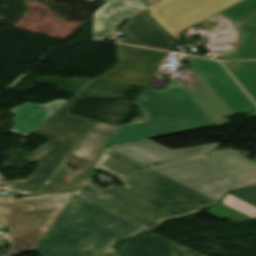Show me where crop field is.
<instances>
[{
  "label": "crop field",
  "mask_w": 256,
  "mask_h": 256,
  "mask_svg": "<svg viewBox=\"0 0 256 256\" xmlns=\"http://www.w3.org/2000/svg\"><path fill=\"white\" fill-rule=\"evenodd\" d=\"M145 11L131 17L122 27L121 30L130 38L122 43L171 51L175 42L145 14Z\"/></svg>",
  "instance_id": "crop-field-11"
},
{
  "label": "crop field",
  "mask_w": 256,
  "mask_h": 256,
  "mask_svg": "<svg viewBox=\"0 0 256 256\" xmlns=\"http://www.w3.org/2000/svg\"><path fill=\"white\" fill-rule=\"evenodd\" d=\"M1 254H2V252H0V256H1ZM4 256H6V255H4Z\"/></svg>",
  "instance_id": "crop-field-25"
},
{
  "label": "crop field",
  "mask_w": 256,
  "mask_h": 256,
  "mask_svg": "<svg viewBox=\"0 0 256 256\" xmlns=\"http://www.w3.org/2000/svg\"><path fill=\"white\" fill-rule=\"evenodd\" d=\"M98 169L94 168L91 170V172L89 173L88 177L90 176H94V174L97 172Z\"/></svg>",
  "instance_id": "crop-field-21"
},
{
  "label": "crop field",
  "mask_w": 256,
  "mask_h": 256,
  "mask_svg": "<svg viewBox=\"0 0 256 256\" xmlns=\"http://www.w3.org/2000/svg\"><path fill=\"white\" fill-rule=\"evenodd\" d=\"M94 167L121 179L144 166L106 148Z\"/></svg>",
  "instance_id": "crop-field-15"
},
{
  "label": "crop field",
  "mask_w": 256,
  "mask_h": 256,
  "mask_svg": "<svg viewBox=\"0 0 256 256\" xmlns=\"http://www.w3.org/2000/svg\"><path fill=\"white\" fill-rule=\"evenodd\" d=\"M208 155L212 166L231 180L235 190L256 184V163L240 153L222 150Z\"/></svg>",
  "instance_id": "crop-field-10"
},
{
  "label": "crop field",
  "mask_w": 256,
  "mask_h": 256,
  "mask_svg": "<svg viewBox=\"0 0 256 256\" xmlns=\"http://www.w3.org/2000/svg\"><path fill=\"white\" fill-rule=\"evenodd\" d=\"M144 7L142 0H108L94 13L93 40L109 37L121 21Z\"/></svg>",
  "instance_id": "crop-field-12"
},
{
  "label": "crop field",
  "mask_w": 256,
  "mask_h": 256,
  "mask_svg": "<svg viewBox=\"0 0 256 256\" xmlns=\"http://www.w3.org/2000/svg\"><path fill=\"white\" fill-rule=\"evenodd\" d=\"M122 256H192L186 248L177 245L153 232L118 245Z\"/></svg>",
  "instance_id": "crop-field-13"
},
{
  "label": "crop field",
  "mask_w": 256,
  "mask_h": 256,
  "mask_svg": "<svg viewBox=\"0 0 256 256\" xmlns=\"http://www.w3.org/2000/svg\"><path fill=\"white\" fill-rule=\"evenodd\" d=\"M186 58L230 111L217 114L183 78L173 79L164 90L143 92L135 106L146 114L145 118L121 126L108 146L220 126L227 123L224 116L256 110L218 62Z\"/></svg>",
  "instance_id": "crop-field-1"
},
{
  "label": "crop field",
  "mask_w": 256,
  "mask_h": 256,
  "mask_svg": "<svg viewBox=\"0 0 256 256\" xmlns=\"http://www.w3.org/2000/svg\"><path fill=\"white\" fill-rule=\"evenodd\" d=\"M146 1L149 3V7H150V6H152V5H154V4L158 3V2H160V1H162V0H146Z\"/></svg>",
  "instance_id": "crop-field-20"
},
{
  "label": "crop field",
  "mask_w": 256,
  "mask_h": 256,
  "mask_svg": "<svg viewBox=\"0 0 256 256\" xmlns=\"http://www.w3.org/2000/svg\"><path fill=\"white\" fill-rule=\"evenodd\" d=\"M86 180L74 195L146 230L164 220L193 215L217 201L146 168L105 189Z\"/></svg>",
  "instance_id": "crop-field-2"
},
{
  "label": "crop field",
  "mask_w": 256,
  "mask_h": 256,
  "mask_svg": "<svg viewBox=\"0 0 256 256\" xmlns=\"http://www.w3.org/2000/svg\"><path fill=\"white\" fill-rule=\"evenodd\" d=\"M223 203L256 218V187L228 194Z\"/></svg>",
  "instance_id": "crop-field-16"
},
{
  "label": "crop field",
  "mask_w": 256,
  "mask_h": 256,
  "mask_svg": "<svg viewBox=\"0 0 256 256\" xmlns=\"http://www.w3.org/2000/svg\"><path fill=\"white\" fill-rule=\"evenodd\" d=\"M201 25L205 31L214 34L213 39H233L231 31L238 28L219 13L201 22Z\"/></svg>",
  "instance_id": "crop-field-17"
},
{
  "label": "crop field",
  "mask_w": 256,
  "mask_h": 256,
  "mask_svg": "<svg viewBox=\"0 0 256 256\" xmlns=\"http://www.w3.org/2000/svg\"><path fill=\"white\" fill-rule=\"evenodd\" d=\"M0 228H2V226L0 225Z\"/></svg>",
  "instance_id": "crop-field-27"
},
{
  "label": "crop field",
  "mask_w": 256,
  "mask_h": 256,
  "mask_svg": "<svg viewBox=\"0 0 256 256\" xmlns=\"http://www.w3.org/2000/svg\"><path fill=\"white\" fill-rule=\"evenodd\" d=\"M146 230L75 196L43 239L42 256H119L122 238Z\"/></svg>",
  "instance_id": "crop-field-3"
},
{
  "label": "crop field",
  "mask_w": 256,
  "mask_h": 256,
  "mask_svg": "<svg viewBox=\"0 0 256 256\" xmlns=\"http://www.w3.org/2000/svg\"><path fill=\"white\" fill-rule=\"evenodd\" d=\"M232 33H233L234 39H239V37H238V31H237V30L233 31Z\"/></svg>",
  "instance_id": "crop-field-23"
},
{
  "label": "crop field",
  "mask_w": 256,
  "mask_h": 256,
  "mask_svg": "<svg viewBox=\"0 0 256 256\" xmlns=\"http://www.w3.org/2000/svg\"><path fill=\"white\" fill-rule=\"evenodd\" d=\"M211 50L218 58L238 57L235 47L211 48Z\"/></svg>",
  "instance_id": "crop-field-19"
},
{
  "label": "crop field",
  "mask_w": 256,
  "mask_h": 256,
  "mask_svg": "<svg viewBox=\"0 0 256 256\" xmlns=\"http://www.w3.org/2000/svg\"><path fill=\"white\" fill-rule=\"evenodd\" d=\"M87 1L91 3V2H93V1H95V0H87ZM105 1H107V0H105Z\"/></svg>",
  "instance_id": "crop-field-24"
},
{
  "label": "crop field",
  "mask_w": 256,
  "mask_h": 256,
  "mask_svg": "<svg viewBox=\"0 0 256 256\" xmlns=\"http://www.w3.org/2000/svg\"><path fill=\"white\" fill-rule=\"evenodd\" d=\"M241 0H166L149 9V15L176 40L182 32Z\"/></svg>",
  "instance_id": "crop-field-6"
},
{
  "label": "crop field",
  "mask_w": 256,
  "mask_h": 256,
  "mask_svg": "<svg viewBox=\"0 0 256 256\" xmlns=\"http://www.w3.org/2000/svg\"><path fill=\"white\" fill-rule=\"evenodd\" d=\"M212 215H215L221 219H227L233 223H239L248 219H251L250 217L224 205L219 204L216 207L206 211Z\"/></svg>",
  "instance_id": "crop-field-18"
},
{
  "label": "crop field",
  "mask_w": 256,
  "mask_h": 256,
  "mask_svg": "<svg viewBox=\"0 0 256 256\" xmlns=\"http://www.w3.org/2000/svg\"><path fill=\"white\" fill-rule=\"evenodd\" d=\"M231 62H232V64L235 66V68L241 67V65L239 64L238 61H231Z\"/></svg>",
  "instance_id": "crop-field-22"
},
{
  "label": "crop field",
  "mask_w": 256,
  "mask_h": 256,
  "mask_svg": "<svg viewBox=\"0 0 256 256\" xmlns=\"http://www.w3.org/2000/svg\"><path fill=\"white\" fill-rule=\"evenodd\" d=\"M0 184H3V183L1 182V180H0Z\"/></svg>",
  "instance_id": "crop-field-26"
},
{
  "label": "crop field",
  "mask_w": 256,
  "mask_h": 256,
  "mask_svg": "<svg viewBox=\"0 0 256 256\" xmlns=\"http://www.w3.org/2000/svg\"><path fill=\"white\" fill-rule=\"evenodd\" d=\"M74 193L22 197L0 196V220L11 234L9 256L35 250Z\"/></svg>",
  "instance_id": "crop-field-5"
},
{
  "label": "crop field",
  "mask_w": 256,
  "mask_h": 256,
  "mask_svg": "<svg viewBox=\"0 0 256 256\" xmlns=\"http://www.w3.org/2000/svg\"><path fill=\"white\" fill-rule=\"evenodd\" d=\"M65 102L67 101L57 100L55 102L45 104L47 107L33 103H26L22 106L13 108L11 112L18 115L14 118L16 126L11 129V132L26 137L47 118L54 114L55 110Z\"/></svg>",
  "instance_id": "crop-field-14"
},
{
  "label": "crop field",
  "mask_w": 256,
  "mask_h": 256,
  "mask_svg": "<svg viewBox=\"0 0 256 256\" xmlns=\"http://www.w3.org/2000/svg\"><path fill=\"white\" fill-rule=\"evenodd\" d=\"M219 147V144L201 145L191 148L170 150L149 139L108 147L147 167L206 153Z\"/></svg>",
  "instance_id": "crop-field-9"
},
{
  "label": "crop field",
  "mask_w": 256,
  "mask_h": 256,
  "mask_svg": "<svg viewBox=\"0 0 256 256\" xmlns=\"http://www.w3.org/2000/svg\"><path fill=\"white\" fill-rule=\"evenodd\" d=\"M116 46L119 62L102 76L143 88L169 55L167 52Z\"/></svg>",
  "instance_id": "crop-field-8"
},
{
  "label": "crop field",
  "mask_w": 256,
  "mask_h": 256,
  "mask_svg": "<svg viewBox=\"0 0 256 256\" xmlns=\"http://www.w3.org/2000/svg\"><path fill=\"white\" fill-rule=\"evenodd\" d=\"M131 85L103 77L94 78L32 134L50 139L24 159L40 166L28 179L6 182L11 189L37 192L63 165L98 122L69 114L78 100L87 97H122Z\"/></svg>",
  "instance_id": "crop-field-4"
},
{
  "label": "crop field",
  "mask_w": 256,
  "mask_h": 256,
  "mask_svg": "<svg viewBox=\"0 0 256 256\" xmlns=\"http://www.w3.org/2000/svg\"><path fill=\"white\" fill-rule=\"evenodd\" d=\"M151 168L217 201L234 191L230 180L211 166L207 154Z\"/></svg>",
  "instance_id": "crop-field-7"
}]
</instances>
